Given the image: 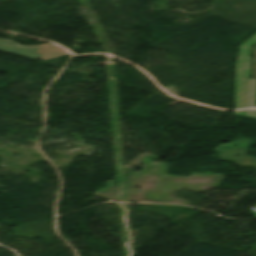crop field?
Instances as JSON below:
<instances>
[{"instance_id":"8a807250","label":"crop field","mask_w":256,"mask_h":256,"mask_svg":"<svg viewBox=\"0 0 256 256\" xmlns=\"http://www.w3.org/2000/svg\"><path fill=\"white\" fill-rule=\"evenodd\" d=\"M256 42V34L240 46L236 62V109L254 107L255 80L249 79V47Z\"/></svg>"},{"instance_id":"ac0d7876","label":"crop field","mask_w":256,"mask_h":256,"mask_svg":"<svg viewBox=\"0 0 256 256\" xmlns=\"http://www.w3.org/2000/svg\"><path fill=\"white\" fill-rule=\"evenodd\" d=\"M0 50L40 60H47L67 52L57 45L20 46L9 40H0Z\"/></svg>"},{"instance_id":"34b2d1b8","label":"crop field","mask_w":256,"mask_h":256,"mask_svg":"<svg viewBox=\"0 0 256 256\" xmlns=\"http://www.w3.org/2000/svg\"><path fill=\"white\" fill-rule=\"evenodd\" d=\"M246 117H256V111H245Z\"/></svg>"},{"instance_id":"412701ff","label":"crop field","mask_w":256,"mask_h":256,"mask_svg":"<svg viewBox=\"0 0 256 256\" xmlns=\"http://www.w3.org/2000/svg\"><path fill=\"white\" fill-rule=\"evenodd\" d=\"M235 113L244 116V111H242V112H235Z\"/></svg>"}]
</instances>
